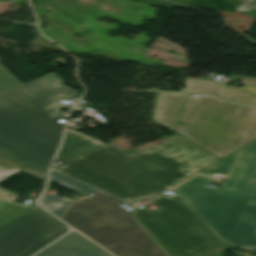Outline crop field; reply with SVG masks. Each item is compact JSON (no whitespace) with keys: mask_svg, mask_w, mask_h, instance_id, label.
I'll return each mask as SVG.
<instances>
[{"mask_svg":"<svg viewBox=\"0 0 256 256\" xmlns=\"http://www.w3.org/2000/svg\"><path fill=\"white\" fill-rule=\"evenodd\" d=\"M222 84L186 78V88L188 92H200L208 95H215Z\"/></svg>","mask_w":256,"mask_h":256,"instance_id":"obj_15","label":"crop field"},{"mask_svg":"<svg viewBox=\"0 0 256 256\" xmlns=\"http://www.w3.org/2000/svg\"><path fill=\"white\" fill-rule=\"evenodd\" d=\"M159 211L137 209V218L171 256H218L225 244L178 196L153 199Z\"/></svg>","mask_w":256,"mask_h":256,"instance_id":"obj_5","label":"crop field"},{"mask_svg":"<svg viewBox=\"0 0 256 256\" xmlns=\"http://www.w3.org/2000/svg\"><path fill=\"white\" fill-rule=\"evenodd\" d=\"M48 73L0 95V146L49 166L64 127L56 120L60 106L78 93Z\"/></svg>","mask_w":256,"mask_h":256,"instance_id":"obj_2","label":"crop field"},{"mask_svg":"<svg viewBox=\"0 0 256 256\" xmlns=\"http://www.w3.org/2000/svg\"><path fill=\"white\" fill-rule=\"evenodd\" d=\"M213 180L197 174L173 189L227 242L249 194L207 187Z\"/></svg>","mask_w":256,"mask_h":256,"instance_id":"obj_6","label":"crop field"},{"mask_svg":"<svg viewBox=\"0 0 256 256\" xmlns=\"http://www.w3.org/2000/svg\"><path fill=\"white\" fill-rule=\"evenodd\" d=\"M18 170L19 169H17V168L11 167L9 165H6V164L0 162V181H2L3 179L7 178L10 175H12L13 173H15Z\"/></svg>","mask_w":256,"mask_h":256,"instance_id":"obj_18","label":"crop field"},{"mask_svg":"<svg viewBox=\"0 0 256 256\" xmlns=\"http://www.w3.org/2000/svg\"><path fill=\"white\" fill-rule=\"evenodd\" d=\"M222 189L250 193L227 244L256 252V140L238 149Z\"/></svg>","mask_w":256,"mask_h":256,"instance_id":"obj_7","label":"crop field"},{"mask_svg":"<svg viewBox=\"0 0 256 256\" xmlns=\"http://www.w3.org/2000/svg\"><path fill=\"white\" fill-rule=\"evenodd\" d=\"M217 160L176 134L132 154L106 144L54 169L135 204Z\"/></svg>","mask_w":256,"mask_h":256,"instance_id":"obj_1","label":"crop field"},{"mask_svg":"<svg viewBox=\"0 0 256 256\" xmlns=\"http://www.w3.org/2000/svg\"><path fill=\"white\" fill-rule=\"evenodd\" d=\"M50 180L88 196L62 220L103 248L117 256H167L116 198L54 170Z\"/></svg>","mask_w":256,"mask_h":256,"instance_id":"obj_4","label":"crop field"},{"mask_svg":"<svg viewBox=\"0 0 256 256\" xmlns=\"http://www.w3.org/2000/svg\"><path fill=\"white\" fill-rule=\"evenodd\" d=\"M21 85L11 74L0 66V94Z\"/></svg>","mask_w":256,"mask_h":256,"instance_id":"obj_17","label":"crop field"},{"mask_svg":"<svg viewBox=\"0 0 256 256\" xmlns=\"http://www.w3.org/2000/svg\"><path fill=\"white\" fill-rule=\"evenodd\" d=\"M238 1H241V2H243L244 0H238Z\"/></svg>","mask_w":256,"mask_h":256,"instance_id":"obj_21","label":"crop field"},{"mask_svg":"<svg viewBox=\"0 0 256 256\" xmlns=\"http://www.w3.org/2000/svg\"><path fill=\"white\" fill-rule=\"evenodd\" d=\"M237 151L232 152L231 154L227 155L226 157L222 158L218 162L214 163L210 167L206 168L201 174H209L213 175V173L222 174L224 173L227 175V172L232 164V161L236 155Z\"/></svg>","mask_w":256,"mask_h":256,"instance_id":"obj_16","label":"crop field"},{"mask_svg":"<svg viewBox=\"0 0 256 256\" xmlns=\"http://www.w3.org/2000/svg\"><path fill=\"white\" fill-rule=\"evenodd\" d=\"M230 77L239 78L243 88L223 85L218 98L256 106V78L230 75Z\"/></svg>","mask_w":256,"mask_h":256,"instance_id":"obj_11","label":"crop field"},{"mask_svg":"<svg viewBox=\"0 0 256 256\" xmlns=\"http://www.w3.org/2000/svg\"><path fill=\"white\" fill-rule=\"evenodd\" d=\"M66 231L64 223L40 209L0 234V256H29Z\"/></svg>","mask_w":256,"mask_h":256,"instance_id":"obj_8","label":"crop field"},{"mask_svg":"<svg viewBox=\"0 0 256 256\" xmlns=\"http://www.w3.org/2000/svg\"><path fill=\"white\" fill-rule=\"evenodd\" d=\"M8 195L10 194L0 190V231L39 208L31 203L14 207L1 200Z\"/></svg>","mask_w":256,"mask_h":256,"instance_id":"obj_12","label":"crop field"},{"mask_svg":"<svg viewBox=\"0 0 256 256\" xmlns=\"http://www.w3.org/2000/svg\"><path fill=\"white\" fill-rule=\"evenodd\" d=\"M0 161L46 179L48 168L0 147Z\"/></svg>","mask_w":256,"mask_h":256,"instance_id":"obj_13","label":"crop field"},{"mask_svg":"<svg viewBox=\"0 0 256 256\" xmlns=\"http://www.w3.org/2000/svg\"><path fill=\"white\" fill-rule=\"evenodd\" d=\"M235 11H248L256 12V0H246L240 7Z\"/></svg>","mask_w":256,"mask_h":256,"instance_id":"obj_19","label":"crop field"},{"mask_svg":"<svg viewBox=\"0 0 256 256\" xmlns=\"http://www.w3.org/2000/svg\"><path fill=\"white\" fill-rule=\"evenodd\" d=\"M71 202L72 200L70 199L57 197L48 193H44L39 199V203L41 206L51 211L53 214H55L59 218L67 209V207L71 204Z\"/></svg>","mask_w":256,"mask_h":256,"instance_id":"obj_14","label":"crop field"},{"mask_svg":"<svg viewBox=\"0 0 256 256\" xmlns=\"http://www.w3.org/2000/svg\"><path fill=\"white\" fill-rule=\"evenodd\" d=\"M36 256H112L76 231Z\"/></svg>","mask_w":256,"mask_h":256,"instance_id":"obj_9","label":"crop field"},{"mask_svg":"<svg viewBox=\"0 0 256 256\" xmlns=\"http://www.w3.org/2000/svg\"><path fill=\"white\" fill-rule=\"evenodd\" d=\"M240 253L243 254L244 256H253V255H250V254H248L246 252H242V251H240Z\"/></svg>","mask_w":256,"mask_h":256,"instance_id":"obj_20","label":"crop field"},{"mask_svg":"<svg viewBox=\"0 0 256 256\" xmlns=\"http://www.w3.org/2000/svg\"><path fill=\"white\" fill-rule=\"evenodd\" d=\"M102 145L104 144L67 129L64 144L57 158L67 162Z\"/></svg>","mask_w":256,"mask_h":256,"instance_id":"obj_10","label":"crop field"},{"mask_svg":"<svg viewBox=\"0 0 256 256\" xmlns=\"http://www.w3.org/2000/svg\"><path fill=\"white\" fill-rule=\"evenodd\" d=\"M153 120L222 158L256 139V107L159 92Z\"/></svg>","mask_w":256,"mask_h":256,"instance_id":"obj_3","label":"crop field"}]
</instances>
